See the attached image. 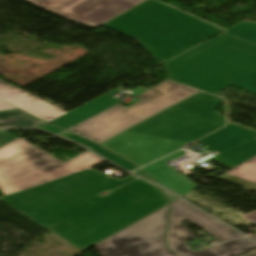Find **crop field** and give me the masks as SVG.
Masks as SVG:
<instances>
[{
	"label": "crop field",
	"instance_id": "bc2a9ffb",
	"mask_svg": "<svg viewBox=\"0 0 256 256\" xmlns=\"http://www.w3.org/2000/svg\"><path fill=\"white\" fill-rule=\"evenodd\" d=\"M32 146L34 145L19 138L12 143L0 148V162Z\"/></svg>",
	"mask_w": 256,
	"mask_h": 256
},
{
	"label": "crop field",
	"instance_id": "92a150f3",
	"mask_svg": "<svg viewBox=\"0 0 256 256\" xmlns=\"http://www.w3.org/2000/svg\"><path fill=\"white\" fill-rule=\"evenodd\" d=\"M17 138H15L14 136H12L11 134H9L6 131H0V147L15 140Z\"/></svg>",
	"mask_w": 256,
	"mask_h": 256
},
{
	"label": "crop field",
	"instance_id": "00972430",
	"mask_svg": "<svg viewBox=\"0 0 256 256\" xmlns=\"http://www.w3.org/2000/svg\"><path fill=\"white\" fill-rule=\"evenodd\" d=\"M245 217L247 218L248 221L254 222L256 224V212L245 215ZM251 237L256 240V234L251 235Z\"/></svg>",
	"mask_w": 256,
	"mask_h": 256
},
{
	"label": "crop field",
	"instance_id": "f4fd0767",
	"mask_svg": "<svg viewBox=\"0 0 256 256\" xmlns=\"http://www.w3.org/2000/svg\"><path fill=\"white\" fill-rule=\"evenodd\" d=\"M197 92L199 91L166 81L136 96L140 102L128 108L118 105L69 131L99 144Z\"/></svg>",
	"mask_w": 256,
	"mask_h": 256
},
{
	"label": "crop field",
	"instance_id": "730fd06b",
	"mask_svg": "<svg viewBox=\"0 0 256 256\" xmlns=\"http://www.w3.org/2000/svg\"><path fill=\"white\" fill-rule=\"evenodd\" d=\"M117 93H119V92H117V91H110V92H108V93H106V94H108V95H110V96H113V95H115V94H117Z\"/></svg>",
	"mask_w": 256,
	"mask_h": 256
},
{
	"label": "crop field",
	"instance_id": "a9b5d70f",
	"mask_svg": "<svg viewBox=\"0 0 256 256\" xmlns=\"http://www.w3.org/2000/svg\"><path fill=\"white\" fill-rule=\"evenodd\" d=\"M134 174L139 175V176H141V177H144V178H146V179L151 180L141 169L138 170L137 172H135ZM151 181H152V180H151Z\"/></svg>",
	"mask_w": 256,
	"mask_h": 256
},
{
	"label": "crop field",
	"instance_id": "cbeb9de0",
	"mask_svg": "<svg viewBox=\"0 0 256 256\" xmlns=\"http://www.w3.org/2000/svg\"><path fill=\"white\" fill-rule=\"evenodd\" d=\"M37 124L44 125L47 123L41 122L20 110L0 113V128H39Z\"/></svg>",
	"mask_w": 256,
	"mask_h": 256
},
{
	"label": "crop field",
	"instance_id": "5a996713",
	"mask_svg": "<svg viewBox=\"0 0 256 256\" xmlns=\"http://www.w3.org/2000/svg\"><path fill=\"white\" fill-rule=\"evenodd\" d=\"M255 137L256 132L228 122L225 128L198 142L218 154L213 159L232 169L256 155Z\"/></svg>",
	"mask_w": 256,
	"mask_h": 256
},
{
	"label": "crop field",
	"instance_id": "733c2abd",
	"mask_svg": "<svg viewBox=\"0 0 256 256\" xmlns=\"http://www.w3.org/2000/svg\"><path fill=\"white\" fill-rule=\"evenodd\" d=\"M28 94L29 93L0 80V111L17 109L3 102L1 99L13 97V96L28 95Z\"/></svg>",
	"mask_w": 256,
	"mask_h": 256
},
{
	"label": "crop field",
	"instance_id": "dd49c442",
	"mask_svg": "<svg viewBox=\"0 0 256 256\" xmlns=\"http://www.w3.org/2000/svg\"><path fill=\"white\" fill-rule=\"evenodd\" d=\"M169 205L95 245L101 256H178L166 248Z\"/></svg>",
	"mask_w": 256,
	"mask_h": 256
},
{
	"label": "crop field",
	"instance_id": "34b2d1b8",
	"mask_svg": "<svg viewBox=\"0 0 256 256\" xmlns=\"http://www.w3.org/2000/svg\"><path fill=\"white\" fill-rule=\"evenodd\" d=\"M103 26L137 40L162 62L224 31L154 0Z\"/></svg>",
	"mask_w": 256,
	"mask_h": 256
},
{
	"label": "crop field",
	"instance_id": "8a807250",
	"mask_svg": "<svg viewBox=\"0 0 256 256\" xmlns=\"http://www.w3.org/2000/svg\"><path fill=\"white\" fill-rule=\"evenodd\" d=\"M102 161L87 151L63 163L34 147L0 165V200L82 251L169 204L151 183L88 169Z\"/></svg>",
	"mask_w": 256,
	"mask_h": 256
},
{
	"label": "crop field",
	"instance_id": "ac0d7876",
	"mask_svg": "<svg viewBox=\"0 0 256 256\" xmlns=\"http://www.w3.org/2000/svg\"><path fill=\"white\" fill-rule=\"evenodd\" d=\"M222 102L201 92L100 145L141 167L223 127Z\"/></svg>",
	"mask_w": 256,
	"mask_h": 256
},
{
	"label": "crop field",
	"instance_id": "28ad6ade",
	"mask_svg": "<svg viewBox=\"0 0 256 256\" xmlns=\"http://www.w3.org/2000/svg\"><path fill=\"white\" fill-rule=\"evenodd\" d=\"M118 101L114 98L102 95L78 108L67 113L65 116L51 122L56 124L64 129H67L77 123H80L105 109L117 104Z\"/></svg>",
	"mask_w": 256,
	"mask_h": 256
},
{
	"label": "crop field",
	"instance_id": "214f88e0",
	"mask_svg": "<svg viewBox=\"0 0 256 256\" xmlns=\"http://www.w3.org/2000/svg\"><path fill=\"white\" fill-rule=\"evenodd\" d=\"M232 86L238 87L240 89L249 91L253 94H256V73L251 76L233 84Z\"/></svg>",
	"mask_w": 256,
	"mask_h": 256
},
{
	"label": "crop field",
	"instance_id": "d1516ede",
	"mask_svg": "<svg viewBox=\"0 0 256 256\" xmlns=\"http://www.w3.org/2000/svg\"><path fill=\"white\" fill-rule=\"evenodd\" d=\"M4 101L48 122H51L67 113L33 95L13 97L4 99Z\"/></svg>",
	"mask_w": 256,
	"mask_h": 256
},
{
	"label": "crop field",
	"instance_id": "412701ff",
	"mask_svg": "<svg viewBox=\"0 0 256 256\" xmlns=\"http://www.w3.org/2000/svg\"><path fill=\"white\" fill-rule=\"evenodd\" d=\"M165 67L171 79L214 94L256 72V45L224 33Z\"/></svg>",
	"mask_w": 256,
	"mask_h": 256
},
{
	"label": "crop field",
	"instance_id": "3316defc",
	"mask_svg": "<svg viewBox=\"0 0 256 256\" xmlns=\"http://www.w3.org/2000/svg\"><path fill=\"white\" fill-rule=\"evenodd\" d=\"M183 155H185L183 150L176 152L143 168V170L156 183L161 184L182 196L199 187L173 170L171 166L167 165Z\"/></svg>",
	"mask_w": 256,
	"mask_h": 256
},
{
	"label": "crop field",
	"instance_id": "4177f3b9",
	"mask_svg": "<svg viewBox=\"0 0 256 256\" xmlns=\"http://www.w3.org/2000/svg\"><path fill=\"white\" fill-rule=\"evenodd\" d=\"M164 190V189H163ZM164 192H166L167 193V195H168V197L170 198V200L171 201H173V200H175V199H177L178 197H176V196H174V195H172V193H170V192H168V191H166V190H164Z\"/></svg>",
	"mask_w": 256,
	"mask_h": 256
},
{
	"label": "crop field",
	"instance_id": "e52e79f7",
	"mask_svg": "<svg viewBox=\"0 0 256 256\" xmlns=\"http://www.w3.org/2000/svg\"><path fill=\"white\" fill-rule=\"evenodd\" d=\"M182 220H190L221 242L242 236L195 207L178 199L172 202L170 225L167 231L169 248L178 255L194 251L183 244L184 241L193 239L194 236L191 231L181 226L180 221Z\"/></svg>",
	"mask_w": 256,
	"mask_h": 256
},
{
	"label": "crop field",
	"instance_id": "d8731c3e",
	"mask_svg": "<svg viewBox=\"0 0 256 256\" xmlns=\"http://www.w3.org/2000/svg\"><path fill=\"white\" fill-rule=\"evenodd\" d=\"M68 20L99 26L143 0H27Z\"/></svg>",
	"mask_w": 256,
	"mask_h": 256
},
{
	"label": "crop field",
	"instance_id": "eef30255",
	"mask_svg": "<svg viewBox=\"0 0 256 256\" xmlns=\"http://www.w3.org/2000/svg\"><path fill=\"white\" fill-rule=\"evenodd\" d=\"M246 256H256V251L253 252V253H251V254H248V255H246Z\"/></svg>",
	"mask_w": 256,
	"mask_h": 256
},
{
	"label": "crop field",
	"instance_id": "22f410ed",
	"mask_svg": "<svg viewBox=\"0 0 256 256\" xmlns=\"http://www.w3.org/2000/svg\"><path fill=\"white\" fill-rule=\"evenodd\" d=\"M254 248L256 243L247 238H241L181 256H238Z\"/></svg>",
	"mask_w": 256,
	"mask_h": 256
},
{
	"label": "crop field",
	"instance_id": "dafd665d",
	"mask_svg": "<svg viewBox=\"0 0 256 256\" xmlns=\"http://www.w3.org/2000/svg\"><path fill=\"white\" fill-rule=\"evenodd\" d=\"M39 129L47 130V131H49L51 133H54V134H58V133L64 131V130L59 129V128L55 127V126H52L50 124L44 125L41 128H39Z\"/></svg>",
	"mask_w": 256,
	"mask_h": 256
},
{
	"label": "crop field",
	"instance_id": "4a817a6b",
	"mask_svg": "<svg viewBox=\"0 0 256 256\" xmlns=\"http://www.w3.org/2000/svg\"><path fill=\"white\" fill-rule=\"evenodd\" d=\"M226 33L256 44V23L243 22Z\"/></svg>",
	"mask_w": 256,
	"mask_h": 256
},
{
	"label": "crop field",
	"instance_id": "5142ce71",
	"mask_svg": "<svg viewBox=\"0 0 256 256\" xmlns=\"http://www.w3.org/2000/svg\"><path fill=\"white\" fill-rule=\"evenodd\" d=\"M60 136L69 138L71 140H74V141L80 143L81 145H83V146L93 150L94 152L108 158L109 160L115 162L116 164L122 166L123 168H125L129 171L137 168V166L135 164L131 163L130 161H128V160H126V159H124V158H122V157H120V156H118V155H116V154H114V153L96 145L95 143H93L89 140L78 137V136H76V135H74V134H72L68 131L60 134Z\"/></svg>",
	"mask_w": 256,
	"mask_h": 256
},
{
	"label": "crop field",
	"instance_id": "d9b57169",
	"mask_svg": "<svg viewBox=\"0 0 256 256\" xmlns=\"http://www.w3.org/2000/svg\"><path fill=\"white\" fill-rule=\"evenodd\" d=\"M226 174L256 183V157L232 169Z\"/></svg>",
	"mask_w": 256,
	"mask_h": 256
}]
</instances>
